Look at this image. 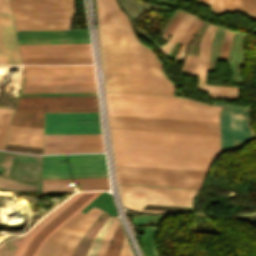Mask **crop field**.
<instances>
[{
	"instance_id": "8a807250",
	"label": "crop field",
	"mask_w": 256,
	"mask_h": 256,
	"mask_svg": "<svg viewBox=\"0 0 256 256\" xmlns=\"http://www.w3.org/2000/svg\"><path fill=\"white\" fill-rule=\"evenodd\" d=\"M116 165L208 171L219 136L111 129Z\"/></svg>"
},
{
	"instance_id": "ac0d7876",
	"label": "crop field",
	"mask_w": 256,
	"mask_h": 256,
	"mask_svg": "<svg viewBox=\"0 0 256 256\" xmlns=\"http://www.w3.org/2000/svg\"><path fill=\"white\" fill-rule=\"evenodd\" d=\"M106 91L173 95L153 52L131 27L98 25Z\"/></svg>"
},
{
	"instance_id": "34b2d1b8",
	"label": "crop field",
	"mask_w": 256,
	"mask_h": 256,
	"mask_svg": "<svg viewBox=\"0 0 256 256\" xmlns=\"http://www.w3.org/2000/svg\"><path fill=\"white\" fill-rule=\"evenodd\" d=\"M109 114L218 122L220 106L187 98L106 93Z\"/></svg>"
},
{
	"instance_id": "412701ff",
	"label": "crop field",
	"mask_w": 256,
	"mask_h": 256,
	"mask_svg": "<svg viewBox=\"0 0 256 256\" xmlns=\"http://www.w3.org/2000/svg\"><path fill=\"white\" fill-rule=\"evenodd\" d=\"M98 192H79L65 201L37 223L10 251L8 256H37L44 243L71 217L86 206ZM97 206L111 215H116L111 196L101 192L81 212Z\"/></svg>"
},
{
	"instance_id": "f4fd0767",
	"label": "crop field",
	"mask_w": 256,
	"mask_h": 256,
	"mask_svg": "<svg viewBox=\"0 0 256 256\" xmlns=\"http://www.w3.org/2000/svg\"><path fill=\"white\" fill-rule=\"evenodd\" d=\"M125 207L150 213H184L180 211L141 210L146 203L192 206L198 190L119 185Z\"/></svg>"
},
{
	"instance_id": "dd49c442",
	"label": "crop field",
	"mask_w": 256,
	"mask_h": 256,
	"mask_svg": "<svg viewBox=\"0 0 256 256\" xmlns=\"http://www.w3.org/2000/svg\"><path fill=\"white\" fill-rule=\"evenodd\" d=\"M25 86L96 85L93 65L24 66Z\"/></svg>"
},
{
	"instance_id": "e52e79f7",
	"label": "crop field",
	"mask_w": 256,
	"mask_h": 256,
	"mask_svg": "<svg viewBox=\"0 0 256 256\" xmlns=\"http://www.w3.org/2000/svg\"><path fill=\"white\" fill-rule=\"evenodd\" d=\"M215 29L210 24L199 45L198 57L186 56L181 72L198 77L196 89L212 95L213 98L238 101L240 88L207 84L210 46Z\"/></svg>"
},
{
	"instance_id": "d8731c3e",
	"label": "crop field",
	"mask_w": 256,
	"mask_h": 256,
	"mask_svg": "<svg viewBox=\"0 0 256 256\" xmlns=\"http://www.w3.org/2000/svg\"><path fill=\"white\" fill-rule=\"evenodd\" d=\"M101 211L93 207L85 214H76L46 242L38 256H71L81 237L103 213Z\"/></svg>"
},
{
	"instance_id": "5a996713",
	"label": "crop field",
	"mask_w": 256,
	"mask_h": 256,
	"mask_svg": "<svg viewBox=\"0 0 256 256\" xmlns=\"http://www.w3.org/2000/svg\"><path fill=\"white\" fill-rule=\"evenodd\" d=\"M223 106L220 114L222 153L241 148L256 137L249 125L251 107L212 102Z\"/></svg>"
},
{
	"instance_id": "3316defc",
	"label": "crop field",
	"mask_w": 256,
	"mask_h": 256,
	"mask_svg": "<svg viewBox=\"0 0 256 256\" xmlns=\"http://www.w3.org/2000/svg\"><path fill=\"white\" fill-rule=\"evenodd\" d=\"M107 174L104 154L43 156V176Z\"/></svg>"
},
{
	"instance_id": "28ad6ade",
	"label": "crop field",
	"mask_w": 256,
	"mask_h": 256,
	"mask_svg": "<svg viewBox=\"0 0 256 256\" xmlns=\"http://www.w3.org/2000/svg\"><path fill=\"white\" fill-rule=\"evenodd\" d=\"M16 109L39 112L98 111L97 96L21 97Z\"/></svg>"
},
{
	"instance_id": "d1516ede",
	"label": "crop field",
	"mask_w": 256,
	"mask_h": 256,
	"mask_svg": "<svg viewBox=\"0 0 256 256\" xmlns=\"http://www.w3.org/2000/svg\"><path fill=\"white\" fill-rule=\"evenodd\" d=\"M101 133L99 113L46 114L45 134Z\"/></svg>"
},
{
	"instance_id": "22f410ed",
	"label": "crop field",
	"mask_w": 256,
	"mask_h": 256,
	"mask_svg": "<svg viewBox=\"0 0 256 256\" xmlns=\"http://www.w3.org/2000/svg\"><path fill=\"white\" fill-rule=\"evenodd\" d=\"M103 151L101 134L45 135L44 154Z\"/></svg>"
},
{
	"instance_id": "cbeb9de0",
	"label": "crop field",
	"mask_w": 256,
	"mask_h": 256,
	"mask_svg": "<svg viewBox=\"0 0 256 256\" xmlns=\"http://www.w3.org/2000/svg\"><path fill=\"white\" fill-rule=\"evenodd\" d=\"M22 57H92L90 44L19 45Z\"/></svg>"
},
{
	"instance_id": "5142ce71",
	"label": "crop field",
	"mask_w": 256,
	"mask_h": 256,
	"mask_svg": "<svg viewBox=\"0 0 256 256\" xmlns=\"http://www.w3.org/2000/svg\"><path fill=\"white\" fill-rule=\"evenodd\" d=\"M110 123L219 130L218 123L109 115Z\"/></svg>"
},
{
	"instance_id": "d9b57169",
	"label": "crop field",
	"mask_w": 256,
	"mask_h": 256,
	"mask_svg": "<svg viewBox=\"0 0 256 256\" xmlns=\"http://www.w3.org/2000/svg\"><path fill=\"white\" fill-rule=\"evenodd\" d=\"M21 64L11 14H0V65Z\"/></svg>"
},
{
	"instance_id": "733c2abd",
	"label": "crop field",
	"mask_w": 256,
	"mask_h": 256,
	"mask_svg": "<svg viewBox=\"0 0 256 256\" xmlns=\"http://www.w3.org/2000/svg\"><path fill=\"white\" fill-rule=\"evenodd\" d=\"M117 175L203 180L207 172L116 166Z\"/></svg>"
},
{
	"instance_id": "4a817a6b",
	"label": "crop field",
	"mask_w": 256,
	"mask_h": 256,
	"mask_svg": "<svg viewBox=\"0 0 256 256\" xmlns=\"http://www.w3.org/2000/svg\"><path fill=\"white\" fill-rule=\"evenodd\" d=\"M72 183H81L82 190H108V178L43 180L42 192L73 190Z\"/></svg>"
},
{
	"instance_id": "bc2a9ffb",
	"label": "crop field",
	"mask_w": 256,
	"mask_h": 256,
	"mask_svg": "<svg viewBox=\"0 0 256 256\" xmlns=\"http://www.w3.org/2000/svg\"><path fill=\"white\" fill-rule=\"evenodd\" d=\"M98 24L131 26L115 0H96Z\"/></svg>"
},
{
	"instance_id": "214f88e0",
	"label": "crop field",
	"mask_w": 256,
	"mask_h": 256,
	"mask_svg": "<svg viewBox=\"0 0 256 256\" xmlns=\"http://www.w3.org/2000/svg\"><path fill=\"white\" fill-rule=\"evenodd\" d=\"M42 138L43 129L11 125L7 144L42 148Z\"/></svg>"
},
{
	"instance_id": "92a150f3",
	"label": "crop field",
	"mask_w": 256,
	"mask_h": 256,
	"mask_svg": "<svg viewBox=\"0 0 256 256\" xmlns=\"http://www.w3.org/2000/svg\"><path fill=\"white\" fill-rule=\"evenodd\" d=\"M19 40L89 39L88 30L17 31Z\"/></svg>"
},
{
	"instance_id": "dafd665d",
	"label": "crop field",
	"mask_w": 256,
	"mask_h": 256,
	"mask_svg": "<svg viewBox=\"0 0 256 256\" xmlns=\"http://www.w3.org/2000/svg\"><path fill=\"white\" fill-rule=\"evenodd\" d=\"M118 183L199 188L202 181L117 176Z\"/></svg>"
},
{
	"instance_id": "00972430",
	"label": "crop field",
	"mask_w": 256,
	"mask_h": 256,
	"mask_svg": "<svg viewBox=\"0 0 256 256\" xmlns=\"http://www.w3.org/2000/svg\"><path fill=\"white\" fill-rule=\"evenodd\" d=\"M223 11H238L256 20V0H222Z\"/></svg>"
},
{
	"instance_id": "a9b5d70f",
	"label": "crop field",
	"mask_w": 256,
	"mask_h": 256,
	"mask_svg": "<svg viewBox=\"0 0 256 256\" xmlns=\"http://www.w3.org/2000/svg\"><path fill=\"white\" fill-rule=\"evenodd\" d=\"M193 19L194 16L185 13L178 27L172 33V37L169 39V41L156 49L167 57L175 43H178V41L180 40V38L182 37V35L184 34V32L186 31V29L188 28Z\"/></svg>"
},
{
	"instance_id": "4177f3b9",
	"label": "crop field",
	"mask_w": 256,
	"mask_h": 256,
	"mask_svg": "<svg viewBox=\"0 0 256 256\" xmlns=\"http://www.w3.org/2000/svg\"><path fill=\"white\" fill-rule=\"evenodd\" d=\"M96 92V86L25 87L22 93Z\"/></svg>"
},
{
	"instance_id": "730fd06b",
	"label": "crop field",
	"mask_w": 256,
	"mask_h": 256,
	"mask_svg": "<svg viewBox=\"0 0 256 256\" xmlns=\"http://www.w3.org/2000/svg\"><path fill=\"white\" fill-rule=\"evenodd\" d=\"M43 121L44 113L16 111L11 124L43 128Z\"/></svg>"
},
{
	"instance_id": "eef30255",
	"label": "crop field",
	"mask_w": 256,
	"mask_h": 256,
	"mask_svg": "<svg viewBox=\"0 0 256 256\" xmlns=\"http://www.w3.org/2000/svg\"><path fill=\"white\" fill-rule=\"evenodd\" d=\"M111 128L219 135V131L110 124Z\"/></svg>"
},
{
	"instance_id": "ae1a2a85",
	"label": "crop field",
	"mask_w": 256,
	"mask_h": 256,
	"mask_svg": "<svg viewBox=\"0 0 256 256\" xmlns=\"http://www.w3.org/2000/svg\"><path fill=\"white\" fill-rule=\"evenodd\" d=\"M23 64H83L92 58H22Z\"/></svg>"
},
{
	"instance_id": "d3111659",
	"label": "crop field",
	"mask_w": 256,
	"mask_h": 256,
	"mask_svg": "<svg viewBox=\"0 0 256 256\" xmlns=\"http://www.w3.org/2000/svg\"><path fill=\"white\" fill-rule=\"evenodd\" d=\"M201 22L202 21H200L198 18H195L194 21L192 22V24L189 26V28L187 29V31L185 32V34L183 35V37L179 41V43H181L183 45L178 50V52H177V54L174 58L175 61H182L185 47H186L187 43L189 42V40L196 33V31H197L198 27L200 26Z\"/></svg>"
},
{
	"instance_id": "750c4746",
	"label": "crop field",
	"mask_w": 256,
	"mask_h": 256,
	"mask_svg": "<svg viewBox=\"0 0 256 256\" xmlns=\"http://www.w3.org/2000/svg\"><path fill=\"white\" fill-rule=\"evenodd\" d=\"M13 110L0 109V149L4 148Z\"/></svg>"
},
{
	"instance_id": "bd1437ed",
	"label": "crop field",
	"mask_w": 256,
	"mask_h": 256,
	"mask_svg": "<svg viewBox=\"0 0 256 256\" xmlns=\"http://www.w3.org/2000/svg\"><path fill=\"white\" fill-rule=\"evenodd\" d=\"M123 237L124 233L120 223L118 222L117 228L115 230L112 242L108 248L106 256H119Z\"/></svg>"
},
{
	"instance_id": "1d83c4d3",
	"label": "crop field",
	"mask_w": 256,
	"mask_h": 256,
	"mask_svg": "<svg viewBox=\"0 0 256 256\" xmlns=\"http://www.w3.org/2000/svg\"><path fill=\"white\" fill-rule=\"evenodd\" d=\"M157 227L145 226L144 232V246L146 256H158L154 245V236Z\"/></svg>"
},
{
	"instance_id": "120bbe31",
	"label": "crop field",
	"mask_w": 256,
	"mask_h": 256,
	"mask_svg": "<svg viewBox=\"0 0 256 256\" xmlns=\"http://www.w3.org/2000/svg\"><path fill=\"white\" fill-rule=\"evenodd\" d=\"M113 218H110L108 216L107 220L105 221L103 227L101 228L100 232L98 233L97 237L95 238V240L93 241L88 253H87V256H96L97 254V251H98V248H99V245L105 235V233L107 232L111 222H112Z\"/></svg>"
},
{
	"instance_id": "d32e631a",
	"label": "crop field",
	"mask_w": 256,
	"mask_h": 256,
	"mask_svg": "<svg viewBox=\"0 0 256 256\" xmlns=\"http://www.w3.org/2000/svg\"><path fill=\"white\" fill-rule=\"evenodd\" d=\"M117 222L118 220L114 218L108 232L106 233L105 237H104V240L100 246V249H99V252L97 254V256H105L106 254V251H107V248H108V245L112 239V236H113V233H114V230L116 228V225H117Z\"/></svg>"
},
{
	"instance_id": "5866460e",
	"label": "crop field",
	"mask_w": 256,
	"mask_h": 256,
	"mask_svg": "<svg viewBox=\"0 0 256 256\" xmlns=\"http://www.w3.org/2000/svg\"><path fill=\"white\" fill-rule=\"evenodd\" d=\"M233 33L234 32H230L228 30L225 31V36H224L221 53H220V58H219V60H221V61H225V62L227 61L229 46H230V42H231Z\"/></svg>"
},
{
	"instance_id": "028f5c9d",
	"label": "crop field",
	"mask_w": 256,
	"mask_h": 256,
	"mask_svg": "<svg viewBox=\"0 0 256 256\" xmlns=\"http://www.w3.org/2000/svg\"><path fill=\"white\" fill-rule=\"evenodd\" d=\"M202 3L209 6L212 13L216 15L223 14L221 0H202Z\"/></svg>"
},
{
	"instance_id": "e1f06a70",
	"label": "crop field",
	"mask_w": 256,
	"mask_h": 256,
	"mask_svg": "<svg viewBox=\"0 0 256 256\" xmlns=\"http://www.w3.org/2000/svg\"><path fill=\"white\" fill-rule=\"evenodd\" d=\"M184 15V12H179L178 15L175 17V19L172 21V23L169 25V27L165 30V32L162 34L160 38L166 41V39L169 37V35L173 32V30L177 27L179 21L181 20L182 16Z\"/></svg>"
},
{
	"instance_id": "0bd39190",
	"label": "crop field",
	"mask_w": 256,
	"mask_h": 256,
	"mask_svg": "<svg viewBox=\"0 0 256 256\" xmlns=\"http://www.w3.org/2000/svg\"><path fill=\"white\" fill-rule=\"evenodd\" d=\"M97 95L96 93L22 94L21 96Z\"/></svg>"
},
{
	"instance_id": "b80d0937",
	"label": "crop field",
	"mask_w": 256,
	"mask_h": 256,
	"mask_svg": "<svg viewBox=\"0 0 256 256\" xmlns=\"http://www.w3.org/2000/svg\"><path fill=\"white\" fill-rule=\"evenodd\" d=\"M91 177H108L107 175H91V176H60V177H43V179H59V178H91Z\"/></svg>"
},
{
	"instance_id": "c035e120",
	"label": "crop field",
	"mask_w": 256,
	"mask_h": 256,
	"mask_svg": "<svg viewBox=\"0 0 256 256\" xmlns=\"http://www.w3.org/2000/svg\"><path fill=\"white\" fill-rule=\"evenodd\" d=\"M0 12H11L9 0H0Z\"/></svg>"
},
{
	"instance_id": "c21b1889",
	"label": "crop field",
	"mask_w": 256,
	"mask_h": 256,
	"mask_svg": "<svg viewBox=\"0 0 256 256\" xmlns=\"http://www.w3.org/2000/svg\"><path fill=\"white\" fill-rule=\"evenodd\" d=\"M120 256H127L125 237H124V241H123V245H122Z\"/></svg>"
}]
</instances>
